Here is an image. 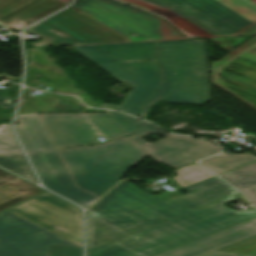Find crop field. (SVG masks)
Masks as SVG:
<instances>
[{"label": "crop field", "mask_w": 256, "mask_h": 256, "mask_svg": "<svg viewBox=\"0 0 256 256\" xmlns=\"http://www.w3.org/2000/svg\"><path fill=\"white\" fill-rule=\"evenodd\" d=\"M217 256H246V255H239V254H232V253L217 251Z\"/></svg>", "instance_id": "30"}, {"label": "crop field", "mask_w": 256, "mask_h": 256, "mask_svg": "<svg viewBox=\"0 0 256 256\" xmlns=\"http://www.w3.org/2000/svg\"><path fill=\"white\" fill-rule=\"evenodd\" d=\"M16 121V131L45 187L83 207L98 199L75 187L37 114L17 115Z\"/></svg>", "instance_id": "5"}, {"label": "crop field", "mask_w": 256, "mask_h": 256, "mask_svg": "<svg viewBox=\"0 0 256 256\" xmlns=\"http://www.w3.org/2000/svg\"><path fill=\"white\" fill-rule=\"evenodd\" d=\"M48 244L73 243L6 211L0 213V256H48Z\"/></svg>", "instance_id": "12"}, {"label": "crop field", "mask_w": 256, "mask_h": 256, "mask_svg": "<svg viewBox=\"0 0 256 256\" xmlns=\"http://www.w3.org/2000/svg\"><path fill=\"white\" fill-rule=\"evenodd\" d=\"M44 40L32 45H83L132 42L102 24L87 17L75 8H70L32 28Z\"/></svg>", "instance_id": "7"}, {"label": "crop field", "mask_w": 256, "mask_h": 256, "mask_svg": "<svg viewBox=\"0 0 256 256\" xmlns=\"http://www.w3.org/2000/svg\"><path fill=\"white\" fill-rule=\"evenodd\" d=\"M169 9L216 37L246 36L253 28L207 0H145Z\"/></svg>", "instance_id": "13"}, {"label": "crop field", "mask_w": 256, "mask_h": 256, "mask_svg": "<svg viewBox=\"0 0 256 256\" xmlns=\"http://www.w3.org/2000/svg\"><path fill=\"white\" fill-rule=\"evenodd\" d=\"M233 198L242 199L247 205L250 203L238 193L233 196L213 202L196 210L163 222L137 234L167 248L184 244L201 236L225 228L256 216V210L235 212L222 205Z\"/></svg>", "instance_id": "6"}, {"label": "crop field", "mask_w": 256, "mask_h": 256, "mask_svg": "<svg viewBox=\"0 0 256 256\" xmlns=\"http://www.w3.org/2000/svg\"><path fill=\"white\" fill-rule=\"evenodd\" d=\"M66 5L61 0H0V23L19 30Z\"/></svg>", "instance_id": "16"}, {"label": "crop field", "mask_w": 256, "mask_h": 256, "mask_svg": "<svg viewBox=\"0 0 256 256\" xmlns=\"http://www.w3.org/2000/svg\"><path fill=\"white\" fill-rule=\"evenodd\" d=\"M153 17H155L158 21V26L162 40L187 39L164 19L156 16Z\"/></svg>", "instance_id": "28"}, {"label": "crop field", "mask_w": 256, "mask_h": 256, "mask_svg": "<svg viewBox=\"0 0 256 256\" xmlns=\"http://www.w3.org/2000/svg\"><path fill=\"white\" fill-rule=\"evenodd\" d=\"M254 160H256V156L250 153L239 155L223 151L218 155L209 157L198 162L213 173L219 175Z\"/></svg>", "instance_id": "21"}, {"label": "crop field", "mask_w": 256, "mask_h": 256, "mask_svg": "<svg viewBox=\"0 0 256 256\" xmlns=\"http://www.w3.org/2000/svg\"><path fill=\"white\" fill-rule=\"evenodd\" d=\"M174 173L178 174V176L173 177V179L176 180L181 187H186L214 176L212 173L198 165L184 166L176 170Z\"/></svg>", "instance_id": "25"}, {"label": "crop field", "mask_w": 256, "mask_h": 256, "mask_svg": "<svg viewBox=\"0 0 256 256\" xmlns=\"http://www.w3.org/2000/svg\"><path fill=\"white\" fill-rule=\"evenodd\" d=\"M249 37H232V38H214V39H210L211 41H213L214 43H216L217 45H219L220 47H222L226 51L230 52L223 59H221L220 61L211 62V64H212L211 83L220 87L224 91L228 92L229 94L233 95L237 99L241 100L242 102H244L245 104L249 105L250 107H252L256 110V102L252 101V100L256 101V99L253 98V97H250L248 95H245L243 93L253 95V96H256V94L227 84V82H229V83L235 84L237 86H240V87H243V88H246V89H249V90H252V91L256 92V73L231 64L232 62H234L236 64H239V65L243 66V67H246L248 69L256 71V65H253V64L247 63L245 61L236 59L237 57H239V58H243V59H245L249 62H252V63L256 64V36L252 37L250 40H248L247 42L242 44L237 49H235V50L233 49L234 47H236L237 45H239L240 43H242L244 40H246ZM227 66L239 69V70H241V72H239L237 70H234V69H231ZM224 69H227V70H230L232 72L238 73V74L243 75L245 77L226 72V71H224ZM218 74L226 77V83H224L223 77L218 76ZM229 87H231L235 90H238L240 92H243V93L230 90V89H228ZM238 94H240L242 96H245L247 98H250L252 100L241 97Z\"/></svg>", "instance_id": "9"}, {"label": "crop field", "mask_w": 256, "mask_h": 256, "mask_svg": "<svg viewBox=\"0 0 256 256\" xmlns=\"http://www.w3.org/2000/svg\"><path fill=\"white\" fill-rule=\"evenodd\" d=\"M63 1H65V2H67V3H68L70 0H63Z\"/></svg>", "instance_id": "35"}, {"label": "crop field", "mask_w": 256, "mask_h": 256, "mask_svg": "<svg viewBox=\"0 0 256 256\" xmlns=\"http://www.w3.org/2000/svg\"><path fill=\"white\" fill-rule=\"evenodd\" d=\"M167 249L87 211V256H153Z\"/></svg>", "instance_id": "8"}, {"label": "crop field", "mask_w": 256, "mask_h": 256, "mask_svg": "<svg viewBox=\"0 0 256 256\" xmlns=\"http://www.w3.org/2000/svg\"><path fill=\"white\" fill-rule=\"evenodd\" d=\"M256 29V0H208Z\"/></svg>", "instance_id": "23"}, {"label": "crop field", "mask_w": 256, "mask_h": 256, "mask_svg": "<svg viewBox=\"0 0 256 256\" xmlns=\"http://www.w3.org/2000/svg\"><path fill=\"white\" fill-rule=\"evenodd\" d=\"M0 77L7 78V79H16V78H12V77H8V76H2V75H0Z\"/></svg>", "instance_id": "33"}, {"label": "crop field", "mask_w": 256, "mask_h": 256, "mask_svg": "<svg viewBox=\"0 0 256 256\" xmlns=\"http://www.w3.org/2000/svg\"><path fill=\"white\" fill-rule=\"evenodd\" d=\"M45 190L0 169V212Z\"/></svg>", "instance_id": "20"}, {"label": "crop field", "mask_w": 256, "mask_h": 256, "mask_svg": "<svg viewBox=\"0 0 256 256\" xmlns=\"http://www.w3.org/2000/svg\"><path fill=\"white\" fill-rule=\"evenodd\" d=\"M256 34V30L255 31H253L251 34H249V35H255ZM248 35V36H249Z\"/></svg>", "instance_id": "34"}, {"label": "crop field", "mask_w": 256, "mask_h": 256, "mask_svg": "<svg viewBox=\"0 0 256 256\" xmlns=\"http://www.w3.org/2000/svg\"><path fill=\"white\" fill-rule=\"evenodd\" d=\"M184 190L188 194L164 202L135 185L122 181L89 210L137 233L167 218L238 193L216 176Z\"/></svg>", "instance_id": "1"}, {"label": "crop field", "mask_w": 256, "mask_h": 256, "mask_svg": "<svg viewBox=\"0 0 256 256\" xmlns=\"http://www.w3.org/2000/svg\"><path fill=\"white\" fill-rule=\"evenodd\" d=\"M164 82L139 117L156 101L202 105L209 100V77L204 39L158 42Z\"/></svg>", "instance_id": "3"}, {"label": "crop field", "mask_w": 256, "mask_h": 256, "mask_svg": "<svg viewBox=\"0 0 256 256\" xmlns=\"http://www.w3.org/2000/svg\"><path fill=\"white\" fill-rule=\"evenodd\" d=\"M122 1H125V2H127V3H130V4L135 5L134 2H133V0H122Z\"/></svg>", "instance_id": "32"}, {"label": "crop field", "mask_w": 256, "mask_h": 256, "mask_svg": "<svg viewBox=\"0 0 256 256\" xmlns=\"http://www.w3.org/2000/svg\"><path fill=\"white\" fill-rule=\"evenodd\" d=\"M220 177L240 189L256 206V163L223 174Z\"/></svg>", "instance_id": "22"}, {"label": "crop field", "mask_w": 256, "mask_h": 256, "mask_svg": "<svg viewBox=\"0 0 256 256\" xmlns=\"http://www.w3.org/2000/svg\"><path fill=\"white\" fill-rule=\"evenodd\" d=\"M204 256H216V251L212 252V253H209L207 255H204Z\"/></svg>", "instance_id": "31"}, {"label": "crop field", "mask_w": 256, "mask_h": 256, "mask_svg": "<svg viewBox=\"0 0 256 256\" xmlns=\"http://www.w3.org/2000/svg\"><path fill=\"white\" fill-rule=\"evenodd\" d=\"M117 124L118 126L127 134L134 132L139 119L119 114L113 111H105Z\"/></svg>", "instance_id": "27"}, {"label": "crop field", "mask_w": 256, "mask_h": 256, "mask_svg": "<svg viewBox=\"0 0 256 256\" xmlns=\"http://www.w3.org/2000/svg\"><path fill=\"white\" fill-rule=\"evenodd\" d=\"M219 251L256 256V235L219 249Z\"/></svg>", "instance_id": "26"}, {"label": "crop field", "mask_w": 256, "mask_h": 256, "mask_svg": "<svg viewBox=\"0 0 256 256\" xmlns=\"http://www.w3.org/2000/svg\"><path fill=\"white\" fill-rule=\"evenodd\" d=\"M149 133H157L166 137L149 144L141 139V137L146 136ZM130 137L156 162L173 169L221 150V148L213 143L196 140L193 137L163 133L155 129L152 124L143 120H141L136 133L130 135Z\"/></svg>", "instance_id": "11"}, {"label": "crop field", "mask_w": 256, "mask_h": 256, "mask_svg": "<svg viewBox=\"0 0 256 256\" xmlns=\"http://www.w3.org/2000/svg\"><path fill=\"white\" fill-rule=\"evenodd\" d=\"M73 7L133 42L161 40L156 19L142 11L109 0H82Z\"/></svg>", "instance_id": "10"}, {"label": "crop field", "mask_w": 256, "mask_h": 256, "mask_svg": "<svg viewBox=\"0 0 256 256\" xmlns=\"http://www.w3.org/2000/svg\"><path fill=\"white\" fill-rule=\"evenodd\" d=\"M256 234V218L157 256H201Z\"/></svg>", "instance_id": "17"}, {"label": "crop field", "mask_w": 256, "mask_h": 256, "mask_svg": "<svg viewBox=\"0 0 256 256\" xmlns=\"http://www.w3.org/2000/svg\"><path fill=\"white\" fill-rule=\"evenodd\" d=\"M19 217L29 220L73 243L72 246H57L48 245L49 256H82V236L65 229L59 225H56L50 221H47L41 217L31 214L25 210H22L16 206L6 210Z\"/></svg>", "instance_id": "18"}, {"label": "crop field", "mask_w": 256, "mask_h": 256, "mask_svg": "<svg viewBox=\"0 0 256 256\" xmlns=\"http://www.w3.org/2000/svg\"><path fill=\"white\" fill-rule=\"evenodd\" d=\"M121 83L135 84L120 104H101L137 116L161 84L155 42L75 47ZM81 54V55H82ZM155 59L122 63V60Z\"/></svg>", "instance_id": "2"}, {"label": "crop field", "mask_w": 256, "mask_h": 256, "mask_svg": "<svg viewBox=\"0 0 256 256\" xmlns=\"http://www.w3.org/2000/svg\"><path fill=\"white\" fill-rule=\"evenodd\" d=\"M75 185L100 197L148 154L129 136L59 150Z\"/></svg>", "instance_id": "4"}, {"label": "crop field", "mask_w": 256, "mask_h": 256, "mask_svg": "<svg viewBox=\"0 0 256 256\" xmlns=\"http://www.w3.org/2000/svg\"><path fill=\"white\" fill-rule=\"evenodd\" d=\"M56 149L100 142L102 136L82 113L38 114Z\"/></svg>", "instance_id": "14"}, {"label": "crop field", "mask_w": 256, "mask_h": 256, "mask_svg": "<svg viewBox=\"0 0 256 256\" xmlns=\"http://www.w3.org/2000/svg\"><path fill=\"white\" fill-rule=\"evenodd\" d=\"M16 206L82 235L81 212L75 206L47 192Z\"/></svg>", "instance_id": "15"}, {"label": "crop field", "mask_w": 256, "mask_h": 256, "mask_svg": "<svg viewBox=\"0 0 256 256\" xmlns=\"http://www.w3.org/2000/svg\"><path fill=\"white\" fill-rule=\"evenodd\" d=\"M83 115L106 140H113L126 135L105 113H83Z\"/></svg>", "instance_id": "24"}, {"label": "crop field", "mask_w": 256, "mask_h": 256, "mask_svg": "<svg viewBox=\"0 0 256 256\" xmlns=\"http://www.w3.org/2000/svg\"><path fill=\"white\" fill-rule=\"evenodd\" d=\"M0 101V104L2 105L1 107L12 108L13 98L0 97Z\"/></svg>", "instance_id": "29"}, {"label": "crop field", "mask_w": 256, "mask_h": 256, "mask_svg": "<svg viewBox=\"0 0 256 256\" xmlns=\"http://www.w3.org/2000/svg\"><path fill=\"white\" fill-rule=\"evenodd\" d=\"M0 166L37 183L13 136L10 125H2L0 127Z\"/></svg>", "instance_id": "19"}]
</instances>
